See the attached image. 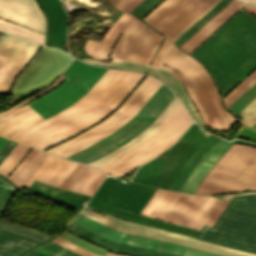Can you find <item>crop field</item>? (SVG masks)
Segmentation results:
<instances>
[{"label": "crop field", "instance_id": "8a807250", "mask_svg": "<svg viewBox=\"0 0 256 256\" xmlns=\"http://www.w3.org/2000/svg\"><path fill=\"white\" fill-rule=\"evenodd\" d=\"M119 36L110 57L146 64H149L164 38L136 20L134 16L123 13L105 34L101 43L86 40L85 53L94 58L107 60ZM165 61L181 69L190 78L216 128L229 129L236 120L223 109L215 85L199 62L180 51L167 39L152 64L162 67Z\"/></svg>", "mask_w": 256, "mask_h": 256}, {"label": "crop field", "instance_id": "ac0d7876", "mask_svg": "<svg viewBox=\"0 0 256 256\" xmlns=\"http://www.w3.org/2000/svg\"><path fill=\"white\" fill-rule=\"evenodd\" d=\"M144 75L108 69L72 106L7 138L44 150L100 121Z\"/></svg>", "mask_w": 256, "mask_h": 256}, {"label": "crop field", "instance_id": "34b2d1b8", "mask_svg": "<svg viewBox=\"0 0 256 256\" xmlns=\"http://www.w3.org/2000/svg\"><path fill=\"white\" fill-rule=\"evenodd\" d=\"M191 54L224 95L256 67V20L240 10Z\"/></svg>", "mask_w": 256, "mask_h": 256}, {"label": "crop field", "instance_id": "412701ff", "mask_svg": "<svg viewBox=\"0 0 256 256\" xmlns=\"http://www.w3.org/2000/svg\"><path fill=\"white\" fill-rule=\"evenodd\" d=\"M106 70L86 65L74 58L60 77L48 88L0 113V135L7 137L72 105L92 87ZM64 78V82L57 89L30 104L22 106L55 88Z\"/></svg>", "mask_w": 256, "mask_h": 256}, {"label": "crop field", "instance_id": "f4fd0767", "mask_svg": "<svg viewBox=\"0 0 256 256\" xmlns=\"http://www.w3.org/2000/svg\"><path fill=\"white\" fill-rule=\"evenodd\" d=\"M246 193L256 192L237 194ZM222 196L228 195L217 197ZM222 198L230 201L229 204L212 227L203 225L197 238L236 249L256 252V194Z\"/></svg>", "mask_w": 256, "mask_h": 256}, {"label": "crop field", "instance_id": "dd49c442", "mask_svg": "<svg viewBox=\"0 0 256 256\" xmlns=\"http://www.w3.org/2000/svg\"><path fill=\"white\" fill-rule=\"evenodd\" d=\"M235 154L256 160V148H252L244 145L232 144L230 148L223 154V156L211 168V170L208 172V174L205 176V178L202 180V182L196 189L195 193L219 194V193L236 192L240 190L256 189V187H246V186H256V161L250 160L244 157H240ZM214 181L216 183H220V184H224L232 187H246V188H232V187L213 183Z\"/></svg>", "mask_w": 256, "mask_h": 256}, {"label": "crop field", "instance_id": "e52e79f7", "mask_svg": "<svg viewBox=\"0 0 256 256\" xmlns=\"http://www.w3.org/2000/svg\"><path fill=\"white\" fill-rule=\"evenodd\" d=\"M174 97L175 96L161 84L137 113L117 131L66 158L89 163L110 153L132 140L148 127Z\"/></svg>", "mask_w": 256, "mask_h": 256}, {"label": "crop field", "instance_id": "d8731c3e", "mask_svg": "<svg viewBox=\"0 0 256 256\" xmlns=\"http://www.w3.org/2000/svg\"><path fill=\"white\" fill-rule=\"evenodd\" d=\"M192 122L181 103L146 140L112 161L100 166L112 176L128 173L153 158L173 143Z\"/></svg>", "mask_w": 256, "mask_h": 256}, {"label": "crop field", "instance_id": "5a996713", "mask_svg": "<svg viewBox=\"0 0 256 256\" xmlns=\"http://www.w3.org/2000/svg\"><path fill=\"white\" fill-rule=\"evenodd\" d=\"M160 84L156 79L147 76L123 105L106 120L46 152L65 157L117 130L136 113Z\"/></svg>", "mask_w": 256, "mask_h": 256}, {"label": "crop field", "instance_id": "3316defc", "mask_svg": "<svg viewBox=\"0 0 256 256\" xmlns=\"http://www.w3.org/2000/svg\"><path fill=\"white\" fill-rule=\"evenodd\" d=\"M11 140L0 151V162L15 146ZM19 189L0 176V216L10 197ZM54 237L0 220V256H21Z\"/></svg>", "mask_w": 256, "mask_h": 256}, {"label": "crop field", "instance_id": "28ad6ade", "mask_svg": "<svg viewBox=\"0 0 256 256\" xmlns=\"http://www.w3.org/2000/svg\"><path fill=\"white\" fill-rule=\"evenodd\" d=\"M73 59L54 48L44 47L17 79L12 95L22 99L53 82Z\"/></svg>", "mask_w": 256, "mask_h": 256}, {"label": "crop field", "instance_id": "d1516ede", "mask_svg": "<svg viewBox=\"0 0 256 256\" xmlns=\"http://www.w3.org/2000/svg\"><path fill=\"white\" fill-rule=\"evenodd\" d=\"M226 205L218 198L181 193L164 220L200 230L203 224L212 226Z\"/></svg>", "mask_w": 256, "mask_h": 256}, {"label": "crop field", "instance_id": "22f410ed", "mask_svg": "<svg viewBox=\"0 0 256 256\" xmlns=\"http://www.w3.org/2000/svg\"><path fill=\"white\" fill-rule=\"evenodd\" d=\"M107 226H110L112 228L118 229L120 231L128 232V233H133L141 236H146L150 238H155L163 241H168L172 243H177L225 256H256V254H250V253H245L241 252L238 250L218 246L215 244H211L208 242H204L201 240L194 239L189 236H184V235H179V234H174V233H169L153 228H148L144 226H139L131 223H127L125 221L119 220L117 218H114L110 215H105L104 217L95 214L89 210L81 212Z\"/></svg>", "mask_w": 256, "mask_h": 256}, {"label": "crop field", "instance_id": "cbeb9de0", "mask_svg": "<svg viewBox=\"0 0 256 256\" xmlns=\"http://www.w3.org/2000/svg\"><path fill=\"white\" fill-rule=\"evenodd\" d=\"M213 0H165L144 20L169 39Z\"/></svg>", "mask_w": 256, "mask_h": 256}, {"label": "crop field", "instance_id": "5142ce71", "mask_svg": "<svg viewBox=\"0 0 256 256\" xmlns=\"http://www.w3.org/2000/svg\"><path fill=\"white\" fill-rule=\"evenodd\" d=\"M73 223L113 241L149 248L180 256H221L181 245L154 240L146 237L132 235L107 227L83 214H79Z\"/></svg>", "mask_w": 256, "mask_h": 256}, {"label": "crop field", "instance_id": "d9b57169", "mask_svg": "<svg viewBox=\"0 0 256 256\" xmlns=\"http://www.w3.org/2000/svg\"><path fill=\"white\" fill-rule=\"evenodd\" d=\"M39 47L40 45L6 33L2 35L0 38V92H7L13 78Z\"/></svg>", "mask_w": 256, "mask_h": 256}, {"label": "crop field", "instance_id": "733c2abd", "mask_svg": "<svg viewBox=\"0 0 256 256\" xmlns=\"http://www.w3.org/2000/svg\"><path fill=\"white\" fill-rule=\"evenodd\" d=\"M76 165L77 163L69 161L50 185L58 187ZM106 175L96 168L78 164L59 187L92 196Z\"/></svg>", "mask_w": 256, "mask_h": 256}, {"label": "crop field", "instance_id": "4a817a6b", "mask_svg": "<svg viewBox=\"0 0 256 256\" xmlns=\"http://www.w3.org/2000/svg\"><path fill=\"white\" fill-rule=\"evenodd\" d=\"M82 60L85 62L97 64L100 66H109V67H115V68L130 69V70L140 71V72H144V73L151 74V75L155 76L160 81H162L163 83L168 85L180 97V99L186 105V107L190 111V113L193 116V118L195 119V121L197 123H199L201 126H203V123L201 122L197 112L195 111L191 102L189 101L186 94L184 93L179 79L177 77H175L174 75H172L156 66L122 61V60H116V59H112L111 62H101V61H95V60H90V59H82Z\"/></svg>", "mask_w": 256, "mask_h": 256}, {"label": "crop field", "instance_id": "bc2a9ffb", "mask_svg": "<svg viewBox=\"0 0 256 256\" xmlns=\"http://www.w3.org/2000/svg\"><path fill=\"white\" fill-rule=\"evenodd\" d=\"M0 17L44 33L45 21L34 0H0Z\"/></svg>", "mask_w": 256, "mask_h": 256}, {"label": "crop field", "instance_id": "214f88e0", "mask_svg": "<svg viewBox=\"0 0 256 256\" xmlns=\"http://www.w3.org/2000/svg\"><path fill=\"white\" fill-rule=\"evenodd\" d=\"M242 3L243 2L241 1L232 0L180 47L190 53L234 13H236L239 10L237 7Z\"/></svg>", "mask_w": 256, "mask_h": 256}, {"label": "crop field", "instance_id": "92a150f3", "mask_svg": "<svg viewBox=\"0 0 256 256\" xmlns=\"http://www.w3.org/2000/svg\"><path fill=\"white\" fill-rule=\"evenodd\" d=\"M96 245L103 246L109 249H113L119 252L123 253H128V254H133L137 256H176V255H171L167 253H162L158 251H153V250H148L144 248H139L135 246H130L126 244H121L117 242H113L110 240H107L105 238L99 237L73 223L70 224V226L66 229Z\"/></svg>", "mask_w": 256, "mask_h": 256}, {"label": "crop field", "instance_id": "dafd665d", "mask_svg": "<svg viewBox=\"0 0 256 256\" xmlns=\"http://www.w3.org/2000/svg\"><path fill=\"white\" fill-rule=\"evenodd\" d=\"M231 143L219 139L218 142L211 148V150L205 155V157L198 163L194 168L180 191L193 193L194 189L208 171V169L214 164V162L221 156V154L226 150V148Z\"/></svg>", "mask_w": 256, "mask_h": 256}, {"label": "crop field", "instance_id": "00972430", "mask_svg": "<svg viewBox=\"0 0 256 256\" xmlns=\"http://www.w3.org/2000/svg\"><path fill=\"white\" fill-rule=\"evenodd\" d=\"M179 103L180 102L175 97L172 100V102L163 110V112L154 120V122L148 128H146L143 132H141L138 136H136L132 141H130L127 144L123 145L122 147L116 149L115 151L111 152L110 154H108L98 160H95L89 164H92V165L98 167V166L112 160L113 158L119 156L120 154L124 153L125 151L129 150L130 148L136 146L137 144L141 143L144 139H146L152 132H154L160 126V124L168 117V115L176 108V106Z\"/></svg>", "mask_w": 256, "mask_h": 256}, {"label": "crop field", "instance_id": "a9b5d70f", "mask_svg": "<svg viewBox=\"0 0 256 256\" xmlns=\"http://www.w3.org/2000/svg\"><path fill=\"white\" fill-rule=\"evenodd\" d=\"M48 156L49 154L32 148L8 179L19 188L23 187Z\"/></svg>", "mask_w": 256, "mask_h": 256}, {"label": "crop field", "instance_id": "4177f3b9", "mask_svg": "<svg viewBox=\"0 0 256 256\" xmlns=\"http://www.w3.org/2000/svg\"><path fill=\"white\" fill-rule=\"evenodd\" d=\"M179 195L178 192L157 189L141 214L162 220Z\"/></svg>", "mask_w": 256, "mask_h": 256}, {"label": "crop field", "instance_id": "730fd06b", "mask_svg": "<svg viewBox=\"0 0 256 256\" xmlns=\"http://www.w3.org/2000/svg\"><path fill=\"white\" fill-rule=\"evenodd\" d=\"M219 138L210 135L208 139L199 147V149L190 157V159L184 164L177 177L169 187L170 190L179 191L193 168L204 157V155L210 150V148L217 142Z\"/></svg>", "mask_w": 256, "mask_h": 256}, {"label": "crop field", "instance_id": "eef30255", "mask_svg": "<svg viewBox=\"0 0 256 256\" xmlns=\"http://www.w3.org/2000/svg\"><path fill=\"white\" fill-rule=\"evenodd\" d=\"M67 162L68 161H65L59 157L50 155L48 159L43 163V165L41 164L42 166L27 182L25 187L28 188L35 179L50 184Z\"/></svg>", "mask_w": 256, "mask_h": 256}, {"label": "crop field", "instance_id": "ae1a2a85", "mask_svg": "<svg viewBox=\"0 0 256 256\" xmlns=\"http://www.w3.org/2000/svg\"><path fill=\"white\" fill-rule=\"evenodd\" d=\"M29 149L30 147L17 143L6 158L1 162L0 174L7 177Z\"/></svg>", "mask_w": 256, "mask_h": 256}, {"label": "crop field", "instance_id": "d3111659", "mask_svg": "<svg viewBox=\"0 0 256 256\" xmlns=\"http://www.w3.org/2000/svg\"><path fill=\"white\" fill-rule=\"evenodd\" d=\"M231 0L219 1L211 10H209L200 20H198L190 29H188L180 38L174 43L181 45L185 42L192 34H194L201 26H203L210 18H212L219 10H221Z\"/></svg>", "mask_w": 256, "mask_h": 256}, {"label": "crop field", "instance_id": "750c4746", "mask_svg": "<svg viewBox=\"0 0 256 256\" xmlns=\"http://www.w3.org/2000/svg\"><path fill=\"white\" fill-rule=\"evenodd\" d=\"M0 29L21 36L23 38L35 41L37 43L43 44L44 35L34 32L32 30L8 23L3 20H0Z\"/></svg>", "mask_w": 256, "mask_h": 256}, {"label": "crop field", "instance_id": "bd1437ed", "mask_svg": "<svg viewBox=\"0 0 256 256\" xmlns=\"http://www.w3.org/2000/svg\"><path fill=\"white\" fill-rule=\"evenodd\" d=\"M256 83V70L223 98L226 108Z\"/></svg>", "mask_w": 256, "mask_h": 256}, {"label": "crop field", "instance_id": "1d83c4d3", "mask_svg": "<svg viewBox=\"0 0 256 256\" xmlns=\"http://www.w3.org/2000/svg\"><path fill=\"white\" fill-rule=\"evenodd\" d=\"M255 97H256V84H254L248 91H246L240 98H238L227 109L236 115L243 107H245Z\"/></svg>", "mask_w": 256, "mask_h": 256}, {"label": "crop field", "instance_id": "120bbe31", "mask_svg": "<svg viewBox=\"0 0 256 256\" xmlns=\"http://www.w3.org/2000/svg\"><path fill=\"white\" fill-rule=\"evenodd\" d=\"M242 119L240 120L242 123L251 126L256 122V98L248 104L241 112Z\"/></svg>", "mask_w": 256, "mask_h": 256}, {"label": "crop field", "instance_id": "d32e631a", "mask_svg": "<svg viewBox=\"0 0 256 256\" xmlns=\"http://www.w3.org/2000/svg\"><path fill=\"white\" fill-rule=\"evenodd\" d=\"M162 0H143L130 13L141 16L142 18L149 13Z\"/></svg>", "mask_w": 256, "mask_h": 256}, {"label": "crop field", "instance_id": "5866460e", "mask_svg": "<svg viewBox=\"0 0 256 256\" xmlns=\"http://www.w3.org/2000/svg\"><path fill=\"white\" fill-rule=\"evenodd\" d=\"M40 248H42L56 256H79V255H77V254L51 242V241L44 244Z\"/></svg>", "mask_w": 256, "mask_h": 256}, {"label": "crop field", "instance_id": "028f5c9d", "mask_svg": "<svg viewBox=\"0 0 256 256\" xmlns=\"http://www.w3.org/2000/svg\"><path fill=\"white\" fill-rule=\"evenodd\" d=\"M52 241L66 247V248H68V249H70V250H72V251H74V252H76V253H78L82 256H98V255H94V254H92V253H90V252H88V251H86V250H84V249H82V248H80V247L62 239V238H60V237H57V238L53 239Z\"/></svg>", "mask_w": 256, "mask_h": 256}, {"label": "crop field", "instance_id": "e1f06a70", "mask_svg": "<svg viewBox=\"0 0 256 256\" xmlns=\"http://www.w3.org/2000/svg\"><path fill=\"white\" fill-rule=\"evenodd\" d=\"M108 1L111 4H113L116 8L122 11L129 12L142 0H108Z\"/></svg>", "mask_w": 256, "mask_h": 256}, {"label": "crop field", "instance_id": "0bd39190", "mask_svg": "<svg viewBox=\"0 0 256 256\" xmlns=\"http://www.w3.org/2000/svg\"><path fill=\"white\" fill-rule=\"evenodd\" d=\"M219 0H214L209 6H207L200 14H198L192 21H190L183 29H181L170 40L173 42L180 37L188 28H190L199 18H201L209 9H211Z\"/></svg>", "mask_w": 256, "mask_h": 256}, {"label": "crop field", "instance_id": "b80d0937", "mask_svg": "<svg viewBox=\"0 0 256 256\" xmlns=\"http://www.w3.org/2000/svg\"><path fill=\"white\" fill-rule=\"evenodd\" d=\"M244 9H246L247 11L253 13L254 15H256V6H253L251 4L248 3H244L242 6H240Z\"/></svg>", "mask_w": 256, "mask_h": 256}, {"label": "crop field", "instance_id": "c035e120", "mask_svg": "<svg viewBox=\"0 0 256 256\" xmlns=\"http://www.w3.org/2000/svg\"><path fill=\"white\" fill-rule=\"evenodd\" d=\"M26 255H28V256H45V255H43V254H41V253H39V252H37L35 250L27 253Z\"/></svg>", "mask_w": 256, "mask_h": 256}, {"label": "crop field", "instance_id": "c21b1889", "mask_svg": "<svg viewBox=\"0 0 256 256\" xmlns=\"http://www.w3.org/2000/svg\"><path fill=\"white\" fill-rule=\"evenodd\" d=\"M8 139H5L3 137H0V150L2 147L7 143Z\"/></svg>", "mask_w": 256, "mask_h": 256}, {"label": "crop field", "instance_id": "03da06ac", "mask_svg": "<svg viewBox=\"0 0 256 256\" xmlns=\"http://www.w3.org/2000/svg\"><path fill=\"white\" fill-rule=\"evenodd\" d=\"M105 256H125V255H119V254H114V253L107 252Z\"/></svg>", "mask_w": 256, "mask_h": 256}, {"label": "crop field", "instance_id": "b54c1fbb", "mask_svg": "<svg viewBox=\"0 0 256 256\" xmlns=\"http://www.w3.org/2000/svg\"><path fill=\"white\" fill-rule=\"evenodd\" d=\"M248 1H250V2H252V3H256V0H248Z\"/></svg>", "mask_w": 256, "mask_h": 256}, {"label": "crop field", "instance_id": "5d738f31", "mask_svg": "<svg viewBox=\"0 0 256 256\" xmlns=\"http://www.w3.org/2000/svg\"><path fill=\"white\" fill-rule=\"evenodd\" d=\"M252 127L256 128V123L254 125H252Z\"/></svg>", "mask_w": 256, "mask_h": 256}, {"label": "crop field", "instance_id": "d23c7cc5", "mask_svg": "<svg viewBox=\"0 0 256 256\" xmlns=\"http://www.w3.org/2000/svg\"><path fill=\"white\" fill-rule=\"evenodd\" d=\"M23 256H25V255H23Z\"/></svg>", "mask_w": 256, "mask_h": 256}, {"label": "crop field", "instance_id": "425ffa30", "mask_svg": "<svg viewBox=\"0 0 256 256\" xmlns=\"http://www.w3.org/2000/svg\"><path fill=\"white\" fill-rule=\"evenodd\" d=\"M0 35H1V33H0Z\"/></svg>", "mask_w": 256, "mask_h": 256}]
</instances>
